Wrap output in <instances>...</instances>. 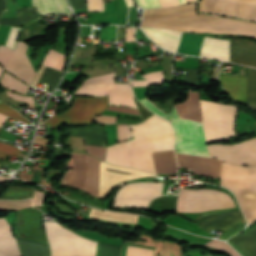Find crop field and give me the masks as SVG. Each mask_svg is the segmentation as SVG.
Wrapping results in <instances>:
<instances>
[{
	"mask_svg": "<svg viewBox=\"0 0 256 256\" xmlns=\"http://www.w3.org/2000/svg\"><path fill=\"white\" fill-rule=\"evenodd\" d=\"M34 189L10 187L0 199H24L32 196Z\"/></svg>",
	"mask_w": 256,
	"mask_h": 256,
	"instance_id": "32",
	"label": "crop field"
},
{
	"mask_svg": "<svg viewBox=\"0 0 256 256\" xmlns=\"http://www.w3.org/2000/svg\"><path fill=\"white\" fill-rule=\"evenodd\" d=\"M204 247L211 250L224 252L230 256H240L234 249H232L230 246L222 241L213 240L204 244Z\"/></svg>",
	"mask_w": 256,
	"mask_h": 256,
	"instance_id": "35",
	"label": "crop field"
},
{
	"mask_svg": "<svg viewBox=\"0 0 256 256\" xmlns=\"http://www.w3.org/2000/svg\"><path fill=\"white\" fill-rule=\"evenodd\" d=\"M51 256H95L97 242L83 238L56 222H44Z\"/></svg>",
	"mask_w": 256,
	"mask_h": 256,
	"instance_id": "4",
	"label": "crop field"
},
{
	"mask_svg": "<svg viewBox=\"0 0 256 256\" xmlns=\"http://www.w3.org/2000/svg\"><path fill=\"white\" fill-rule=\"evenodd\" d=\"M14 229L16 235L19 237L47 243L41 222V214L35 209L17 212V220Z\"/></svg>",
	"mask_w": 256,
	"mask_h": 256,
	"instance_id": "15",
	"label": "crop field"
},
{
	"mask_svg": "<svg viewBox=\"0 0 256 256\" xmlns=\"http://www.w3.org/2000/svg\"><path fill=\"white\" fill-rule=\"evenodd\" d=\"M176 109L180 117L202 122L198 92L190 90L188 100L185 103L177 104Z\"/></svg>",
	"mask_w": 256,
	"mask_h": 256,
	"instance_id": "20",
	"label": "crop field"
},
{
	"mask_svg": "<svg viewBox=\"0 0 256 256\" xmlns=\"http://www.w3.org/2000/svg\"><path fill=\"white\" fill-rule=\"evenodd\" d=\"M186 0H179V3L182 4V3H185Z\"/></svg>",
	"mask_w": 256,
	"mask_h": 256,
	"instance_id": "60",
	"label": "crop field"
},
{
	"mask_svg": "<svg viewBox=\"0 0 256 256\" xmlns=\"http://www.w3.org/2000/svg\"><path fill=\"white\" fill-rule=\"evenodd\" d=\"M19 151L20 150L14 146L0 143V158L5 159L6 153L8 155L17 156Z\"/></svg>",
	"mask_w": 256,
	"mask_h": 256,
	"instance_id": "41",
	"label": "crop field"
},
{
	"mask_svg": "<svg viewBox=\"0 0 256 256\" xmlns=\"http://www.w3.org/2000/svg\"><path fill=\"white\" fill-rule=\"evenodd\" d=\"M33 5L41 15L72 14L68 10L66 0H33Z\"/></svg>",
	"mask_w": 256,
	"mask_h": 256,
	"instance_id": "25",
	"label": "crop field"
},
{
	"mask_svg": "<svg viewBox=\"0 0 256 256\" xmlns=\"http://www.w3.org/2000/svg\"><path fill=\"white\" fill-rule=\"evenodd\" d=\"M230 54L231 62L256 67V42L232 38Z\"/></svg>",
	"mask_w": 256,
	"mask_h": 256,
	"instance_id": "17",
	"label": "crop field"
},
{
	"mask_svg": "<svg viewBox=\"0 0 256 256\" xmlns=\"http://www.w3.org/2000/svg\"><path fill=\"white\" fill-rule=\"evenodd\" d=\"M179 167L193 169L195 173L220 178L221 162L213 158H204L186 154H176Z\"/></svg>",
	"mask_w": 256,
	"mask_h": 256,
	"instance_id": "16",
	"label": "crop field"
},
{
	"mask_svg": "<svg viewBox=\"0 0 256 256\" xmlns=\"http://www.w3.org/2000/svg\"><path fill=\"white\" fill-rule=\"evenodd\" d=\"M115 73L86 79L75 94L109 96V104L137 108L129 84H114Z\"/></svg>",
	"mask_w": 256,
	"mask_h": 256,
	"instance_id": "6",
	"label": "crop field"
},
{
	"mask_svg": "<svg viewBox=\"0 0 256 256\" xmlns=\"http://www.w3.org/2000/svg\"><path fill=\"white\" fill-rule=\"evenodd\" d=\"M0 162H3V163H9V162H7V161H4V160H0Z\"/></svg>",
	"mask_w": 256,
	"mask_h": 256,
	"instance_id": "61",
	"label": "crop field"
},
{
	"mask_svg": "<svg viewBox=\"0 0 256 256\" xmlns=\"http://www.w3.org/2000/svg\"><path fill=\"white\" fill-rule=\"evenodd\" d=\"M64 60V55L50 49L42 64L62 71Z\"/></svg>",
	"mask_w": 256,
	"mask_h": 256,
	"instance_id": "30",
	"label": "crop field"
},
{
	"mask_svg": "<svg viewBox=\"0 0 256 256\" xmlns=\"http://www.w3.org/2000/svg\"><path fill=\"white\" fill-rule=\"evenodd\" d=\"M74 155V170L68 169L60 186L81 188L97 197L100 160L87 155Z\"/></svg>",
	"mask_w": 256,
	"mask_h": 256,
	"instance_id": "10",
	"label": "crop field"
},
{
	"mask_svg": "<svg viewBox=\"0 0 256 256\" xmlns=\"http://www.w3.org/2000/svg\"><path fill=\"white\" fill-rule=\"evenodd\" d=\"M2 68L0 67V72H1Z\"/></svg>",
	"mask_w": 256,
	"mask_h": 256,
	"instance_id": "62",
	"label": "crop field"
},
{
	"mask_svg": "<svg viewBox=\"0 0 256 256\" xmlns=\"http://www.w3.org/2000/svg\"><path fill=\"white\" fill-rule=\"evenodd\" d=\"M239 221L245 224V221L238 210L232 214L206 224L204 227H202V229L210 234L213 229L227 230Z\"/></svg>",
	"mask_w": 256,
	"mask_h": 256,
	"instance_id": "27",
	"label": "crop field"
},
{
	"mask_svg": "<svg viewBox=\"0 0 256 256\" xmlns=\"http://www.w3.org/2000/svg\"><path fill=\"white\" fill-rule=\"evenodd\" d=\"M200 11L256 20V0H201Z\"/></svg>",
	"mask_w": 256,
	"mask_h": 256,
	"instance_id": "13",
	"label": "crop field"
},
{
	"mask_svg": "<svg viewBox=\"0 0 256 256\" xmlns=\"http://www.w3.org/2000/svg\"><path fill=\"white\" fill-rule=\"evenodd\" d=\"M88 152H90L92 155L100 158L102 161L104 159L105 155V148L99 147V146H91V145H86Z\"/></svg>",
	"mask_w": 256,
	"mask_h": 256,
	"instance_id": "42",
	"label": "crop field"
},
{
	"mask_svg": "<svg viewBox=\"0 0 256 256\" xmlns=\"http://www.w3.org/2000/svg\"><path fill=\"white\" fill-rule=\"evenodd\" d=\"M131 128L134 139L108 147L104 161L155 174L152 153L173 149L174 131L170 122L153 115Z\"/></svg>",
	"mask_w": 256,
	"mask_h": 256,
	"instance_id": "1",
	"label": "crop field"
},
{
	"mask_svg": "<svg viewBox=\"0 0 256 256\" xmlns=\"http://www.w3.org/2000/svg\"><path fill=\"white\" fill-rule=\"evenodd\" d=\"M118 141L124 139L123 126L117 125Z\"/></svg>",
	"mask_w": 256,
	"mask_h": 256,
	"instance_id": "55",
	"label": "crop field"
},
{
	"mask_svg": "<svg viewBox=\"0 0 256 256\" xmlns=\"http://www.w3.org/2000/svg\"><path fill=\"white\" fill-rule=\"evenodd\" d=\"M89 11H103V0H87Z\"/></svg>",
	"mask_w": 256,
	"mask_h": 256,
	"instance_id": "44",
	"label": "crop field"
},
{
	"mask_svg": "<svg viewBox=\"0 0 256 256\" xmlns=\"http://www.w3.org/2000/svg\"><path fill=\"white\" fill-rule=\"evenodd\" d=\"M126 2H127V4H128V7L134 6L133 0H126Z\"/></svg>",
	"mask_w": 256,
	"mask_h": 256,
	"instance_id": "58",
	"label": "crop field"
},
{
	"mask_svg": "<svg viewBox=\"0 0 256 256\" xmlns=\"http://www.w3.org/2000/svg\"><path fill=\"white\" fill-rule=\"evenodd\" d=\"M69 134L84 137L86 144L100 145L105 147L104 127L87 126L71 128Z\"/></svg>",
	"mask_w": 256,
	"mask_h": 256,
	"instance_id": "21",
	"label": "crop field"
},
{
	"mask_svg": "<svg viewBox=\"0 0 256 256\" xmlns=\"http://www.w3.org/2000/svg\"><path fill=\"white\" fill-rule=\"evenodd\" d=\"M11 233L8 224L0 219V234ZM0 256H20L16 239L12 234L0 235Z\"/></svg>",
	"mask_w": 256,
	"mask_h": 256,
	"instance_id": "24",
	"label": "crop field"
},
{
	"mask_svg": "<svg viewBox=\"0 0 256 256\" xmlns=\"http://www.w3.org/2000/svg\"><path fill=\"white\" fill-rule=\"evenodd\" d=\"M5 10H7L5 0H0V15ZM16 12L18 19H0V24L8 26H25L39 18V15L32 7L18 9Z\"/></svg>",
	"mask_w": 256,
	"mask_h": 256,
	"instance_id": "23",
	"label": "crop field"
},
{
	"mask_svg": "<svg viewBox=\"0 0 256 256\" xmlns=\"http://www.w3.org/2000/svg\"><path fill=\"white\" fill-rule=\"evenodd\" d=\"M163 29H165V28H163Z\"/></svg>",
	"mask_w": 256,
	"mask_h": 256,
	"instance_id": "64",
	"label": "crop field"
},
{
	"mask_svg": "<svg viewBox=\"0 0 256 256\" xmlns=\"http://www.w3.org/2000/svg\"><path fill=\"white\" fill-rule=\"evenodd\" d=\"M171 122L176 131V149L178 153L209 157L202 123L179 118L175 107L172 110Z\"/></svg>",
	"mask_w": 256,
	"mask_h": 256,
	"instance_id": "7",
	"label": "crop field"
},
{
	"mask_svg": "<svg viewBox=\"0 0 256 256\" xmlns=\"http://www.w3.org/2000/svg\"><path fill=\"white\" fill-rule=\"evenodd\" d=\"M44 69H45V66L42 65L41 68L39 69V71L37 72L32 84H31L32 86H34V87L36 86V84H37L41 74L43 73Z\"/></svg>",
	"mask_w": 256,
	"mask_h": 256,
	"instance_id": "54",
	"label": "crop field"
},
{
	"mask_svg": "<svg viewBox=\"0 0 256 256\" xmlns=\"http://www.w3.org/2000/svg\"><path fill=\"white\" fill-rule=\"evenodd\" d=\"M156 173H176L177 163L174 151H166L153 154Z\"/></svg>",
	"mask_w": 256,
	"mask_h": 256,
	"instance_id": "26",
	"label": "crop field"
},
{
	"mask_svg": "<svg viewBox=\"0 0 256 256\" xmlns=\"http://www.w3.org/2000/svg\"><path fill=\"white\" fill-rule=\"evenodd\" d=\"M140 101H141L147 108H149L151 111H153V112H155V113H157V114H159V115H161V116H163V117L169 119L170 113H169V114H164V113L160 112V111L155 107V105H154L151 101H149V100H147V99H142V100H140ZM169 120H170V119H169Z\"/></svg>",
	"mask_w": 256,
	"mask_h": 256,
	"instance_id": "46",
	"label": "crop field"
},
{
	"mask_svg": "<svg viewBox=\"0 0 256 256\" xmlns=\"http://www.w3.org/2000/svg\"><path fill=\"white\" fill-rule=\"evenodd\" d=\"M21 28H16V27H11L9 34L7 36L6 42H5V46L11 48V49H15L16 46V41H17V35L18 32Z\"/></svg>",
	"mask_w": 256,
	"mask_h": 256,
	"instance_id": "38",
	"label": "crop field"
},
{
	"mask_svg": "<svg viewBox=\"0 0 256 256\" xmlns=\"http://www.w3.org/2000/svg\"><path fill=\"white\" fill-rule=\"evenodd\" d=\"M234 211L235 210L229 211V212H225V213H222V214H218V215L208 216V217L204 218L203 220H201L199 222V226L201 227V226L205 225L206 223H208V222H210V221H212V220H214L216 218H219V217L224 216L226 214L232 213Z\"/></svg>",
	"mask_w": 256,
	"mask_h": 256,
	"instance_id": "48",
	"label": "crop field"
},
{
	"mask_svg": "<svg viewBox=\"0 0 256 256\" xmlns=\"http://www.w3.org/2000/svg\"><path fill=\"white\" fill-rule=\"evenodd\" d=\"M118 120L119 118H117V123H118ZM123 118H120L119 122H122ZM125 120V119H124ZM124 120H123V123H124ZM126 120H130V119H126ZM133 121H139V120H133ZM125 123H136V122H128V121H125Z\"/></svg>",
	"mask_w": 256,
	"mask_h": 256,
	"instance_id": "57",
	"label": "crop field"
},
{
	"mask_svg": "<svg viewBox=\"0 0 256 256\" xmlns=\"http://www.w3.org/2000/svg\"><path fill=\"white\" fill-rule=\"evenodd\" d=\"M244 228V225L240 222L231 227L229 230H227L223 235L220 236L221 239H227L230 236L234 235L238 231L242 230Z\"/></svg>",
	"mask_w": 256,
	"mask_h": 256,
	"instance_id": "43",
	"label": "crop field"
},
{
	"mask_svg": "<svg viewBox=\"0 0 256 256\" xmlns=\"http://www.w3.org/2000/svg\"><path fill=\"white\" fill-rule=\"evenodd\" d=\"M26 47L20 41H17L15 51L0 45V62L6 67L5 70L31 84L36 73L25 55Z\"/></svg>",
	"mask_w": 256,
	"mask_h": 256,
	"instance_id": "14",
	"label": "crop field"
},
{
	"mask_svg": "<svg viewBox=\"0 0 256 256\" xmlns=\"http://www.w3.org/2000/svg\"><path fill=\"white\" fill-rule=\"evenodd\" d=\"M138 5L143 8H159L160 3L159 0H137Z\"/></svg>",
	"mask_w": 256,
	"mask_h": 256,
	"instance_id": "45",
	"label": "crop field"
},
{
	"mask_svg": "<svg viewBox=\"0 0 256 256\" xmlns=\"http://www.w3.org/2000/svg\"><path fill=\"white\" fill-rule=\"evenodd\" d=\"M31 199L25 201H0V210L22 209L30 207Z\"/></svg>",
	"mask_w": 256,
	"mask_h": 256,
	"instance_id": "37",
	"label": "crop field"
},
{
	"mask_svg": "<svg viewBox=\"0 0 256 256\" xmlns=\"http://www.w3.org/2000/svg\"><path fill=\"white\" fill-rule=\"evenodd\" d=\"M206 256H210L209 254H207Z\"/></svg>",
	"mask_w": 256,
	"mask_h": 256,
	"instance_id": "63",
	"label": "crop field"
},
{
	"mask_svg": "<svg viewBox=\"0 0 256 256\" xmlns=\"http://www.w3.org/2000/svg\"><path fill=\"white\" fill-rule=\"evenodd\" d=\"M17 239L21 256H49V246L37 242Z\"/></svg>",
	"mask_w": 256,
	"mask_h": 256,
	"instance_id": "28",
	"label": "crop field"
},
{
	"mask_svg": "<svg viewBox=\"0 0 256 256\" xmlns=\"http://www.w3.org/2000/svg\"><path fill=\"white\" fill-rule=\"evenodd\" d=\"M7 94L9 97L17 99L21 102L34 103L32 97H24V96H21V95L12 93V92H8V91H7Z\"/></svg>",
	"mask_w": 256,
	"mask_h": 256,
	"instance_id": "47",
	"label": "crop field"
},
{
	"mask_svg": "<svg viewBox=\"0 0 256 256\" xmlns=\"http://www.w3.org/2000/svg\"><path fill=\"white\" fill-rule=\"evenodd\" d=\"M7 179H8V177L0 176V182H3V181H5V180H7Z\"/></svg>",
	"mask_w": 256,
	"mask_h": 256,
	"instance_id": "59",
	"label": "crop field"
},
{
	"mask_svg": "<svg viewBox=\"0 0 256 256\" xmlns=\"http://www.w3.org/2000/svg\"><path fill=\"white\" fill-rule=\"evenodd\" d=\"M204 132L207 142L230 140L235 136L237 107L201 100Z\"/></svg>",
	"mask_w": 256,
	"mask_h": 256,
	"instance_id": "5",
	"label": "crop field"
},
{
	"mask_svg": "<svg viewBox=\"0 0 256 256\" xmlns=\"http://www.w3.org/2000/svg\"><path fill=\"white\" fill-rule=\"evenodd\" d=\"M231 207H235L234 202L228 194L223 192L212 189H181L177 211L199 212Z\"/></svg>",
	"mask_w": 256,
	"mask_h": 256,
	"instance_id": "8",
	"label": "crop field"
},
{
	"mask_svg": "<svg viewBox=\"0 0 256 256\" xmlns=\"http://www.w3.org/2000/svg\"><path fill=\"white\" fill-rule=\"evenodd\" d=\"M201 56L229 61V40L205 37Z\"/></svg>",
	"mask_w": 256,
	"mask_h": 256,
	"instance_id": "19",
	"label": "crop field"
},
{
	"mask_svg": "<svg viewBox=\"0 0 256 256\" xmlns=\"http://www.w3.org/2000/svg\"><path fill=\"white\" fill-rule=\"evenodd\" d=\"M0 113L10 116V117H13V118H16V119H19L27 124L29 123V121L26 120L22 115L18 114L16 112V110L9 108L1 103H0Z\"/></svg>",
	"mask_w": 256,
	"mask_h": 256,
	"instance_id": "39",
	"label": "crop field"
},
{
	"mask_svg": "<svg viewBox=\"0 0 256 256\" xmlns=\"http://www.w3.org/2000/svg\"><path fill=\"white\" fill-rule=\"evenodd\" d=\"M73 10L87 8L85 0H70Z\"/></svg>",
	"mask_w": 256,
	"mask_h": 256,
	"instance_id": "50",
	"label": "crop field"
},
{
	"mask_svg": "<svg viewBox=\"0 0 256 256\" xmlns=\"http://www.w3.org/2000/svg\"><path fill=\"white\" fill-rule=\"evenodd\" d=\"M143 77L147 78L148 80L130 81L132 86H148V85L162 84L163 82L162 71L155 72V73H148L143 75Z\"/></svg>",
	"mask_w": 256,
	"mask_h": 256,
	"instance_id": "34",
	"label": "crop field"
},
{
	"mask_svg": "<svg viewBox=\"0 0 256 256\" xmlns=\"http://www.w3.org/2000/svg\"><path fill=\"white\" fill-rule=\"evenodd\" d=\"M221 185L230 188L248 220L256 219V167L222 162Z\"/></svg>",
	"mask_w": 256,
	"mask_h": 256,
	"instance_id": "3",
	"label": "crop field"
},
{
	"mask_svg": "<svg viewBox=\"0 0 256 256\" xmlns=\"http://www.w3.org/2000/svg\"><path fill=\"white\" fill-rule=\"evenodd\" d=\"M153 250L127 246L126 256H152Z\"/></svg>",
	"mask_w": 256,
	"mask_h": 256,
	"instance_id": "40",
	"label": "crop field"
},
{
	"mask_svg": "<svg viewBox=\"0 0 256 256\" xmlns=\"http://www.w3.org/2000/svg\"><path fill=\"white\" fill-rule=\"evenodd\" d=\"M134 32H135V28L126 29V41H135Z\"/></svg>",
	"mask_w": 256,
	"mask_h": 256,
	"instance_id": "53",
	"label": "crop field"
},
{
	"mask_svg": "<svg viewBox=\"0 0 256 256\" xmlns=\"http://www.w3.org/2000/svg\"><path fill=\"white\" fill-rule=\"evenodd\" d=\"M0 82L3 84V86L9 89L16 90L23 93H25L28 88V86H26L23 82L19 81L18 79L14 78L13 76H11L6 72L4 73Z\"/></svg>",
	"mask_w": 256,
	"mask_h": 256,
	"instance_id": "33",
	"label": "crop field"
},
{
	"mask_svg": "<svg viewBox=\"0 0 256 256\" xmlns=\"http://www.w3.org/2000/svg\"><path fill=\"white\" fill-rule=\"evenodd\" d=\"M61 73H62L61 71L46 67L39 82L46 84L44 89L51 92L52 89L55 87V85L58 83L61 77Z\"/></svg>",
	"mask_w": 256,
	"mask_h": 256,
	"instance_id": "29",
	"label": "crop field"
},
{
	"mask_svg": "<svg viewBox=\"0 0 256 256\" xmlns=\"http://www.w3.org/2000/svg\"><path fill=\"white\" fill-rule=\"evenodd\" d=\"M247 103L256 106V70L248 67Z\"/></svg>",
	"mask_w": 256,
	"mask_h": 256,
	"instance_id": "31",
	"label": "crop field"
},
{
	"mask_svg": "<svg viewBox=\"0 0 256 256\" xmlns=\"http://www.w3.org/2000/svg\"><path fill=\"white\" fill-rule=\"evenodd\" d=\"M108 109L109 110H115V111H120V112H126V113H131V114L139 115V112L136 109L123 108V107H114V106H109Z\"/></svg>",
	"mask_w": 256,
	"mask_h": 256,
	"instance_id": "49",
	"label": "crop field"
},
{
	"mask_svg": "<svg viewBox=\"0 0 256 256\" xmlns=\"http://www.w3.org/2000/svg\"><path fill=\"white\" fill-rule=\"evenodd\" d=\"M36 191H37V190H36ZM38 192H39V191H38ZM38 192H35V193H34L32 206L42 205L43 193H38Z\"/></svg>",
	"mask_w": 256,
	"mask_h": 256,
	"instance_id": "51",
	"label": "crop field"
},
{
	"mask_svg": "<svg viewBox=\"0 0 256 256\" xmlns=\"http://www.w3.org/2000/svg\"><path fill=\"white\" fill-rule=\"evenodd\" d=\"M96 256H120V248L98 242Z\"/></svg>",
	"mask_w": 256,
	"mask_h": 256,
	"instance_id": "36",
	"label": "crop field"
},
{
	"mask_svg": "<svg viewBox=\"0 0 256 256\" xmlns=\"http://www.w3.org/2000/svg\"><path fill=\"white\" fill-rule=\"evenodd\" d=\"M163 183L136 182L122 186L115 196L114 207H142L162 195Z\"/></svg>",
	"mask_w": 256,
	"mask_h": 256,
	"instance_id": "11",
	"label": "crop field"
},
{
	"mask_svg": "<svg viewBox=\"0 0 256 256\" xmlns=\"http://www.w3.org/2000/svg\"><path fill=\"white\" fill-rule=\"evenodd\" d=\"M247 256H256V226L229 240Z\"/></svg>",
	"mask_w": 256,
	"mask_h": 256,
	"instance_id": "22",
	"label": "crop field"
},
{
	"mask_svg": "<svg viewBox=\"0 0 256 256\" xmlns=\"http://www.w3.org/2000/svg\"><path fill=\"white\" fill-rule=\"evenodd\" d=\"M6 119H7V116H4V115L0 114V127Z\"/></svg>",
	"mask_w": 256,
	"mask_h": 256,
	"instance_id": "56",
	"label": "crop field"
},
{
	"mask_svg": "<svg viewBox=\"0 0 256 256\" xmlns=\"http://www.w3.org/2000/svg\"><path fill=\"white\" fill-rule=\"evenodd\" d=\"M210 155L223 161L256 166V138L234 145H210Z\"/></svg>",
	"mask_w": 256,
	"mask_h": 256,
	"instance_id": "12",
	"label": "crop field"
},
{
	"mask_svg": "<svg viewBox=\"0 0 256 256\" xmlns=\"http://www.w3.org/2000/svg\"><path fill=\"white\" fill-rule=\"evenodd\" d=\"M108 106V97H74L73 106L64 114L52 116L45 125L56 127L65 123H92L94 116Z\"/></svg>",
	"mask_w": 256,
	"mask_h": 256,
	"instance_id": "9",
	"label": "crop field"
},
{
	"mask_svg": "<svg viewBox=\"0 0 256 256\" xmlns=\"http://www.w3.org/2000/svg\"><path fill=\"white\" fill-rule=\"evenodd\" d=\"M191 1H194V0H187V2H191ZM160 3L162 7L179 5L178 0H160Z\"/></svg>",
	"mask_w": 256,
	"mask_h": 256,
	"instance_id": "52",
	"label": "crop field"
},
{
	"mask_svg": "<svg viewBox=\"0 0 256 256\" xmlns=\"http://www.w3.org/2000/svg\"><path fill=\"white\" fill-rule=\"evenodd\" d=\"M220 81L224 84L225 90L234 101L246 103L247 77L219 75Z\"/></svg>",
	"mask_w": 256,
	"mask_h": 256,
	"instance_id": "18",
	"label": "crop field"
},
{
	"mask_svg": "<svg viewBox=\"0 0 256 256\" xmlns=\"http://www.w3.org/2000/svg\"><path fill=\"white\" fill-rule=\"evenodd\" d=\"M142 26L165 27L187 32L256 36V23L203 14L197 16L196 3L180 7L145 10Z\"/></svg>",
	"mask_w": 256,
	"mask_h": 256,
	"instance_id": "2",
	"label": "crop field"
}]
</instances>
